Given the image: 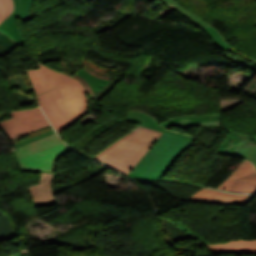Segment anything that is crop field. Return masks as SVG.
<instances>
[{
	"mask_svg": "<svg viewBox=\"0 0 256 256\" xmlns=\"http://www.w3.org/2000/svg\"><path fill=\"white\" fill-rule=\"evenodd\" d=\"M162 134L138 126L93 158L128 176Z\"/></svg>",
	"mask_w": 256,
	"mask_h": 256,
	"instance_id": "crop-field-1",
	"label": "crop field"
},
{
	"mask_svg": "<svg viewBox=\"0 0 256 256\" xmlns=\"http://www.w3.org/2000/svg\"><path fill=\"white\" fill-rule=\"evenodd\" d=\"M12 154L20 171L52 173L56 160L69 152L53 130L14 144Z\"/></svg>",
	"mask_w": 256,
	"mask_h": 256,
	"instance_id": "crop-field-2",
	"label": "crop field"
},
{
	"mask_svg": "<svg viewBox=\"0 0 256 256\" xmlns=\"http://www.w3.org/2000/svg\"><path fill=\"white\" fill-rule=\"evenodd\" d=\"M193 139L166 131L129 177L161 179Z\"/></svg>",
	"mask_w": 256,
	"mask_h": 256,
	"instance_id": "crop-field-3",
	"label": "crop field"
},
{
	"mask_svg": "<svg viewBox=\"0 0 256 256\" xmlns=\"http://www.w3.org/2000/svg\"><path fill=\"white\" fill-rule=\"evenodd\" d=\"M52 73L62 96V98L57 99V102L73 124L81 116L88 113L85 90L75 79L55 70H52Z\"/></svg>",
	"mask_w": 256,
	"mask_h": 256,
	"instance_id": "crop-field-4",
	"label": "crop field"
},
{
	"mask_svg": "<svg viewBox=\"0 0 256 256\" xmlns=\"http://www.w3.org/2000/svg\"><path fill=\"white\" fill-rule=\"evenodd\" d=\"M218 188L236 192L256 193V170L252 163L244 160Z\"/></svg>",
	"mask_w": 256,
	"mask_h": 256,
	"instance_id": "crop-field-5",
	"label": "crop field"
},
{
	"mask_svg": "<svg viewBox=\"0 0 256 256\" xmlns=\"http://www.w3.org/2000/svg\"><path fill=\"white\" fill-rule=\"evenodd\" d=\"M39 98V104L47 114L57 132L72 125L55 99L60 98L57 89L44 93Z\"/></svg>",
	"mask_w": 256,
	"mask_h": 256,
	"instance_id": "crop-field-6",
	"label": "crop field"
},
{
	"mask_svg": "<svg viewBox=\"0 0 256 256\" xmlns=\"http://www.w3.org/2000/svg\"><path fill=\"white\" fill-rule=\"evenodd\" d=\"M255 196L242 194H228L220 191L201 189L193 195L189 201H197L213 204L244 205Z\"/></svg>",
	"mask_w": 256,
	"mask_h": 256,
	"instance_id": "crop-field-7",
	"label": "crop field"
},
{
	"mask_svg": "<svg viewBox=\"0 0 256 256\" xmlns=\"http://www.w3.org/2000/svg\"><path fill=\"white\" fill-rule=\"evenodd\" d=\"M165 128L170 126L188 127V126H215L220 127V114L198 115V116H183L169 119L161 122Z\"/></svg>",
	"mask_w": 256,
	"mask_h": 256,
	"instance_id": "crop-field-8",
	"label": "crop field"
},
{
	"mask_svg": "<svg viewBox=\"0 0 256 256\" xmlns=\"http://www.w3.org/2000/svg\"><path fill=\"white\" fill-rule=\"evenodd\" d=\"M51 178L52 174L42 173L40 185L28 188L35 206L56 203L50 190Z\"/></svg>",
	"mask_w": 256,
	"mask_h": 256,
	"instance_id": "crop-field-9",
	"label": "crop field"
},
{
	"mask_svg": "<svg viewBox=\"0 0 256 256\" xmlns=\"http://www.w3.org/2000/svg\"><path fill=\"white\" fill-rule=\"evenodd\" d=\"M26 71L37 95L56 86L50 68L41 65V69Z\"/></svg>",
	"mask_w": 256,
	"mask_h": 256,
	"instance_id": "crop-field-10",
	"label": "crop field"
},
{
	"mask_svg": "<svg viewBox=\"0 0 256 256\" xmlns=\"http://www.w3.org/2000/svg\"><path fill=\"white\" fill-rule=\"evenodd\" d=\"M11 112L15 119L0 122V126L3 130L44 118V115L39 107L15 110Z\"/></svg>",
	"mask_w": 256,
	"mask_h": 256,
	"instance_id": "crop-field-11",
	"label": "crop field"
},
{
	"mask_svg": "<svg viewBox=\"0 0 256 256\" xmlns=\"http://www.w3.org/2000/svg\"><path fill=\"white\" fill-rule=\"evenodd\" d=\"M212 252H249L256 253V240H234L205 245Z\"/></svg>",
	"mask_w": 256,
	"mask_h": 256,
	"instance_id": "crop-field-12",
	"label": "crop field"
},
{
	"mask_svg": "<svg viewBox=\"0 0 256 256\" xmlns=\"http://www.w3.org/2000/svg\"><path fill=\"white\" fill-rule=\"evenodd\" d=\"M13 2L14 11L3 23L0 24V30L3 31L4 34L8 35L10 38L16 40L20 44H23L22 36L16 24V14L19 6V0H13Z\"/></svg>",
	"mask_w": 256,
	"mask_h": 256,
	"instance_id": "crop-field-13",
	"label": "crop field"
},
{
	"mask_svg": "<svg viewBox=\"0 0 256 256\" xmlns=\"http://www.w3.org/2000/svg\"><path fill=\"white\" fill-rule=\"evenodd\" d=\"M225 129L227 130V132L229 134L225 137L222 144L220 145V147L217 150L218 152H220L222 154L231 155V153L233 152V150L238 145V143L240 142L241 139L255 140L254 143H256V139H254V138H248V137L242 136L240 134L230 131L226 127H225Z\"/></svg>",
	"mask_w": 256,
	"mask_h": 256,
	"instance_id": "crop-field-14",
	"label": "crop field"
},
{
	"mask_svg": "<svg viewBox=\"0 0 256 256\" xmlns=\"http://www.w3.org/2000/svg\"><path fill=\"white\" fill-rule=\"evenodd\" d=\"M46 126H49L48 121L46 120V118L26 124V125H22L7 131H4L5 134L8 136V138L13 139L15 137L21 136L23 134L29 133L31 131H35L41 128H44Z\"/></svg>",
	"mask_w": 256,
	"mask_h": 256,
	"instance_id": "crop-field-15",
	"label": "crop field"
},
{
	"mask_svg": "<svg viewBox=\"0 0 256 256\" xmlns=\"http://www.w3.org/2000/svg\"><path fill=\"white\" fill-rule=\"evenodd\" d=\"M254 141L241 140L232 156L241 157L250 160L256 167V144Z\"/></svg>",
	"mask_w": 256,
	"mask_h": 256,
	"instance_id": "crop-field-16",
	"label": "crop field"
},
{
	"mask_svg": "<svg viewBox=\"0 0 256 256\" xmlns=\"http://www.w3.org/2000/svg\"><path fill=\"white\" fill-rule=\"evenodd\" d=\"M126 121L134 122L141 124L146 127H150L156 130L165 132L166 130L162 129L155 121L153 117L145 113L140 112H129L125 118Z\"/></svg>",
	"mask_w": 256,
	"mask_h": 256,
	"instance_id": "crop-field-17",
	"label": "crop field"
},
{
	"mask_svg": "<svg viewBox=\"0 0 256 256\" xmlns=\"http://www.w3.org/2000/svg\"><path fill=\"white\" fill-rule=\"evenodd\" d=\"M222 53L227 58H229V59H231L249 69L256 71V62L255 61H252V60L240 55L239 53L235 52L232 48L227 51H223Z\"/></svg>",
	"mask_w": 256,
	"mask_h": 256,
	"instance_id": "crop-field-18",
	"label": "crop field"
},
{
	"mask_svg": "<svg viewBox=\"0 0 256 256\" xmlns=\"http://www.w3.org/2000/svg\"><path fill=\"white\" fill-rule=\"evenodd\" d=\"M168 7L174 9L175 11H177L178 13H180L181 15L185 16L186 18H188L189 20H191L193 23H195L196 25L203 27L205 25H208L207 23H205L204 21L200 20L199 18H197L196 16L192 15L191 13H189L188 11L184 10L183 8H181L176 2L175 0H162Z\"/></svg>",
	"mask_w": 256,
	"mask_h": 256,
	"instance_id": "crop-field-19",
	"label": "crop field"
},
{
	"mask_svg": "<svg viewBox=\"0 0 256 256\" xmlns=\"http://www.w3.org/2000/svg\"><path fill=\"white\" fill-rule=\"evenodd\" d=\"M81 77H83L90 85L91 89L94 93H97V91L102 88L104 85H106L109 81L98 79L89 73H87L85 70L81 69L77 73H75ZM101 90V89H100ZM99 90V91H100Z\"/></svg>",
	"mask_w": 256,
	"mask_h": 256,
	"instance_id": "crop-field-20",
	"label": "crop field"
},
{
	"mask_svg": "<svg viewBox=\"0 0 256 256\" xmlns=\"http://www.w3.org/2000/svg\"><path fill=\"white\" fill-rule=\"evenodd\" d=\"M214 41L216 47L220 50H226L231 48L226 42L225 40L221 37L220 33L213 28L212 26L208 25L206 27L202 28Z\"/></svg>",
	"mask_w": 256,
	"mask_h": 256,
	"instance_id": "crop-field-21",
	"label": "crop field"
},
{
	"mask_svg": "<svg viewBox=\"0 0 256 256\" xmlns=\"http://www.w3.org/2000/svg\"><path fill=\"white\" fill-rule=\"evenodd\" d=\"M13 11L12 0H0V23Z\"/></svg>",
	"mask_w": 256,
	"mask_h": 256,
	"instance_id": "crop-field-22",
	"label": "crop field"
},
{
	"mask_svg": "<svg viewBox=\"0 0 256 256\" xmlns=\"http://www.w3.org/2000/svg\"><path fill=\"white\" fill-rule=\"evenodd\" d=\"M32 0H20V6L17 18L21 21H26L28 18L30 6H31Z\"/></svg>",
	"mask_w": 256,
	"mask_h": 256,
	"instance_id": "crop-field-23",
	"label": "crop field"
},
{
	"mask_svg": "<svg viewBox=\"0 0 256 256\" xmlns=\"http://www.w3.org/2000/svg\"><path fill=\"white\" fill-rule=\"evenodd\" d=\"M166 221L174 224L175 226L181 228L182 230L186 231L187 233L193 235L196 239H198L200 242L204 243V244H210L208 243L206 240H204L202 237H200L198 234H196L195 232H193L191 229H189L188 227H186L184 224H182L181 222L179 224L169 220V219H165Z\"/></svg>",
	"mask_w": 256,
	"mask_h": 256,
	"instance_id": "crop-field-24",
	"label": "crop field"
},
{
	"mask_svg": "<svg viewBox=\"0 0 256 256\" xmlns=\"http://www.w3.org/2000/svg\"><path fill=\"white\" fill-rule=\"evenodd\" d=\"M75 78H77V79H79L80 80V82L85 86V88H86V90L88 91V93L90 94V96L92 97L93 95H94V93L92 92V90L90 89V87L88 86V84H87V82L83 79V78H81V77H79V76H77V75H73ZM73 77V78H74Z\"/></svg>",
	"mask_w": 256,
	"mask_h": 256,
	"instance_id": "crop-field-25",
	"label": "crop field"
},
{
	"mask_svg": "<svg viewBox=\"0 0 256 256\" xmlns=\"http://www.w3.org/2000/svg\"><path fill=\"white\" fill-rule=\"evenodd\" d=\"M83 69H85L86 71H88L90 74L94 75V76H97L99 78H103V79H107V80H112L111 78L109 77H105V76H100L98 75L97 73L93 72L91 69L87 68V67H83Z\"/></svg>",
	"mask_w": 256,
	"mask_h": 256,
	"instance_id": "crop-field-26",
	"label": "crop field"
},
{
	"mask_svg": "<svg viewBox=\"0 0 256 256\" xmlns=\"http://www.w3.org/2000/svg\"><path fill=\"white\" fill-rule=\"evenodd\" d=\"M13 256H20V254H16V255H13Z\"/></svg>",
	"mask_w": 256,
	"mask_h": 256,
	"instance_id": "crop-field-27",
	"label": "crop field"
},
{
	"mask_svg": "<svg viewBox=\"0 0 256 256\" xmlns=\"http://www.w3.org/2000/svg\"><path fill=\"white\" fill-rule=\"evenodd\" d=\"M89 1V0H88Z\"/></svg>",
	"mask_w": 256,
	"mask_h": 256,
	"instance_id": "crop-field-28",
	"label": "crop field"
}]
</instances>
